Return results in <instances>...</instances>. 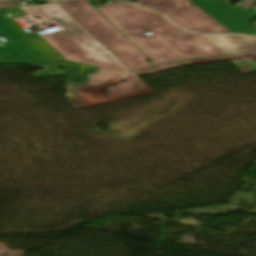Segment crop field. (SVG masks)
Wrapping results in <instances>:
<instances>
[{
  "label": "crop field",
  "mask_w": 256,
  "mask_h": 256,
  "mask_svg": "<svg viewBox=\"0 0 256 256\" xmlns=\"http://www.w3.org/2000/svg\"><path fill=\"white\" fill-rule=\"evenodd\" d=\"M152 9L170 14L179 24L196 32H229L187 0H137Z\"/></svg>",
  "instance_id": "crop-field-5"
},
{
  "label": "crop field",
  "mask_w": 256,
  "mask_h": 256,
  "mask_svg": "<svg viewBox=\"0 0 256 256\" xmlns=\"http://www.w3.org/2000/svg\"><path fill=\"white\" fill-rule=\"evenodd\" d=\"M255 2V0H243L241 1L240 3H238L236 6H239V7H243V8H246L248 9L249 7H251Z\"/></svg>",
  "instance_id": "crop-field-13"
},
{
  "label": "crop field",
  "mask_w": 256,
  "mask_h": 256,
  "mask_svg": "<svg viewBox=\"0 0 256 256\" xmlns=\"http://www.w3.org/2000/svg\"><path fill=\"white\" fill-rule=\"evenodd\" d=\"M24 8L32 16L39 15L43 20L54 19L64 29L40 37L66 60L107 69L129 70L60 5Z\"/></svg>",
  "instance_id": "crop-field-2"
},
{
  "label": "crop field",
  "mask_w": 256,
  "mask_h": 256,
  "mask_svg": "<svg viewBox=\"0 0 256 256\" xmlns=\"http://www.w3.org/2000/svg\"><path fill=\"white\" fill-rule=\"evenodd\" d=\"M223 60H229V59H228L227 56L216 57V58L192 59V60H187V61H183V62H179V63L167 65V66H162V67H158V68L135 71L133 73H135L136 75L148 74V73H152V72H156V71H160V70L170 69V68L179 67V66L188 65V64H193V63L223 61Z\"/></svg>",
  "instance_id": "crop-field-9"
},
{
  "label": "crop field",
  "mask_w": 256,
  "mask_h": 256,
  "mask_svg": "<svg viewBox=\"0 0 256 256\" xmlns=\"http://www.w3.org/2000/svg\"><path fill=\"white\" fill-rule=\"evenodd\" d=\"M59 0H45V2H54ZM19 5V0H0V6H13Z\"/></svg>",
  "instance_id": "crop-field-11"
},
{
  "label": "crop field",
  "mask_w": 256,
  "mask_h": 256,
  "mask_svg": "<svg viewBox=\"0 0 256 256\" xmlns=\"http://www.w3.org/2000/svg\"><path fill=\"white\" fill-rule=\"evenodd\" d=\"M256 11V10H255Z\"/></svg>",
  "instance_id": "crop-field-15"
},
{
  "label": "crop field",
  "mask_w": 256,
  "mask_h": 256,
  "mask_svg": "<svg viewBox=\"0 0 256 256\" xmlns=\"http://www.w3.org/2000/svg\"><path fill=\"white\" fill-rule=\"evenodd\" d=\"M250 56H253V58L256 61V51L244 53V54L229 55L228 57L230 60H234V59L245 58V57H250Z\"/></svg>",
  "instance_id": "crop-field-12"
},
{
  "label": "crop field",
  "mask_w": 256,
  "mask_h": 256,
  "mask_svg": "<svg viewBox=\"0 0 256 256\" xmlns=\"http://www.w3.org/2000/svg\"><path fill=\"white\" fill-rule=\"evenodd\" d=\"M126 79L117 86H111L107 90H95L88 88V85H98L102 83H111ZM81 97H84L88 102H104L118 98L128 97L141 93L150 92L151 90L132 72H116L102 68L90 77L88 83H84L77 87Z\"/></svg>",
  "instance_id": "crop-field-4"
},
{
  "label": "crop field",
  "mask_w": 256,
  "mask_h": 256,
  "mask_svg": "<svg viewBox=\"0 0 256 256\" xmlns=\"http://www.w3.org/2000/svg\"><path fill=\"white\" fill-rule=\"evenodd\" d=\"M1 10L4 11V12H5L8 16H10L11 18L28 14L27 12H25V11H24L23 9H21L20 7L6 8V9H1Z\"/></svg>",
  "instance_id": "crop-field-10"
},
{
  "label": "crop field",
  "mask_w": 256,
  "mask_h": 256,
  "mask_svg": "<svg viewBox=\"0 0 256 256\" xmlns=\"http://www.w3.org/2000/svg\"><path fill=\"white\" fill-rule=\"evenodd\" d=\"M225 54L256 49V37L241 35H209Z\"/></svg>",
  "instance_id": "crop-field-7"
},
{
  "label": "crop field",
  "mask_w": 256,
  "mask_h": 256,
  "mask_svg": "<svg viewBox=\"0 0 256 256\" xmlns=\"http://www.w3.org/2000/svg\"><path fill=\"white\" fill-rule=\"evenodd\" d=\"M255 62V61H254ZM256 63V62H255ZM242 73H245V72H251V70L249 69H243V70H240Z\"/></svg>",
  "instance_id": "crop-field-14"
},
{
  "label": "crop field",
  "mask_w": 256,
  "mask_h": 256,
  "mask_svg": "<svg viewBox=\"0 0 256 256\" xmlns=\"http://www.w3.org/2000/svg\"><path fill=\"white\" fill-rule=\"evenodd\" d=\"M0 36H4L9 42L0 47V54H14L21 56H41L19 35L0 19Z\"/></svg>",
  "instance_id": "crop-field-6"
},
{
  "label": "crop field",
  "mask_w": 256,
  "mask_h": 256,
  "mask_svg": "<svg viewBox=\"0 0 256 256\" xmlns=\"http://www.w3.org/2000/svg\"><path fill=\"white\" fill-rule=\"evenodd\" d=\"M59 4L130 70L151 67L145 61L147 58L138 52L85 0H72Z\"/></svg>",
  "instance_id": "crop-field-3"
},
{
  "label": "crop field",
  "mask_w": 256,
  "mask_h": 256,
  "mask_svg": "<svg viewBox=\"0 0 256 256\" xmlns=\"http://www.w3.org/2000/svg\"><path fill=\"white\" fill-rule=\"evenodd\" d=\"M96 9L150 58L153 66L224 54L208 35L192 34L183 29L155 31L152 36L143 34V31L177 28L170 18L161 13L121 1Z\"/></svg>",
  "instance_id": "crop-field-1"
},
{
  "label": "crop field",
  "mask_w": 256,
  "mask_h": 256,
  "mask_svg": "<svg viewBox=\"0 0 256 256\" xmlns=\"http://www.w3.org/2000/svg\"><path fill=\"white\" fill-rule=\"evenodd\" d=\"M66 74L67 81L81 83L87 82L88 78L95 72L96 67L60 61Z\"/></svg>",
  "instance_id": "crop-field-8"
}]
</instances>
